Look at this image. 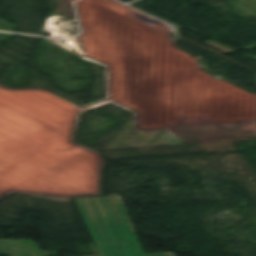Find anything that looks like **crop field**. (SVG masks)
<instances>
[{
	"label": "crop field",
	"instance_id": "ac0d7876",
	"mask_svg": "<svg viewBox=\"0 0 256 256\" xmlns=\"http://www.w3.org/2000/svg\"><path fill=\"white\" fill-rule=\"evenodd\" d=\"M146 256H176V255L174 252H170V253L150 254Z\"/></svg>",
	"mask_w": 256,
	"mask_h": 256
},
{
	"label": "crop field",
	"instance_id": "8a807250",
	"mask_svg": "<svg viewBox=\"0 0 256 256\" xmlns=\"http://www.w3.org/2000/svg\"><path fill=\"white\" fill-rule=\"evenodd\" d=\"M101 256H145L127 224H118L108 197L75 199Z\"/></svg>",
	"mask_w": 256,
	"mask_h": 256
},
{
	"label": "crop field",
	"instance_id": "34b2d1b8",
	"mask_svg": "<svg viewBox=\"0 0 256 256\" xmlns=\"http://www.w3.org/2000/svg\"><path fill=\"white\" fill-rule=\"evenodd\" d=\"M89 244H90V247H91V249H92L93 254L97 253V251H96V250H94V248H93L92 244H91V243H89ZM85 246H86V245H85ZM77 248H78V250H79L80 254L82 255V253H81V251H80V249H79V247H78V246H77ZM81 248H82V246H81ZM86 248H87V246H86ZM82 250H83V248H82ZM87 250H88V248H87ZM83 252H84V250H83ZM88 252H89V250H88ZM84 254H85V252H84ZM89 254H90V252H89ZM85 255H86V254H85Z\"/></svg>",
	"mask_w": 256,
	"mask_h": 256
},
{
	"label": "crop field",
	"instance_id": "412701ff",
	"mask_svg": "<svg viewBox=\"0 0 256 256\" xmlns=\"http://www.w3.org/2000/svg\"><path fill=\"white\" fill-rule=\"evenodd\" d=\"M92 256H98V255H92Z\"/></svg>",
	"mask_w": 256,
	"mask_h": 256
}]
</instances>
